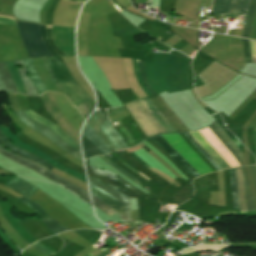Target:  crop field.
Wrapping results in <instances>:
<instances>
[{
    "label": "crop field",
    "mask_w": 256,
    "mask_h": 256,
    "mask_svg": "<svg viewBox=\"0 0 256 256\" xmlns=\"http://www.w3.org/2000/svg\"><path fill=\"white\" fill-rule=\"evenodd\" d=\"M149 84L157 93L188 90V58L153 53V63L144 62Z\"/></svg>",
    "instance_id": "obj_1"
},
{
    "label": "crop field",
    "mask_w": 256,
    "mask_h": 256,
    "mask_svg": "<svg viewBox=\"0 0 256 256\" xmlns=\"http://www.w3.org/2000/svg\"><path fill=\"white\" fill-rule=\"evenodd\" d=\"M148 98L163 114V116L170 122V124L176 129L178 133L188 131L183 123L178 119V117L171 111V109L162 101V99L158 95ZM148 98L141 99V101L153 114L157 121L164 127L167 132H176ZM141 101L138 100L130 102L126 104L125 107L136 120L146 136L149 137L157 133L166 132Z\"/></svg>",
    "instance_id": "obj_2"
},
{
    "label": "crop field",
    "mask_w": 256,
    "mask_h": 256,
    "mask_svg": "<svg viewBox=\"0 0 256 256\" xmlns=\"http://www.w3.org/2000/svg\"><path fill=\"white\" fill-rule=\"evenodd\" d=\"M87 122L111 152L128 147L120 134L111 126L102 110L94 111Z\"/></svg>",
    "instance_id": "obj_3"
},
{
    "label": "crop field",
    "mask_w": 256,
    "mask_h": 256,
    "mask_svg": "<svg viewBox=\"0 0 256 256\" xmlns=\"http://www.w3.org/2000/svg\"><path fill=\"white\" fill-rule=\"evenodd\" d=\"M89 183L96 186L97 188L103 190L104 192L110 194L116 199L122 201L123 203L129 205V197L123 195L122 193L88 177ZM90 185L91 193L102 199L108 206H110L114 211H116L122 222L130 221L129 206L123 204L122 202L116 200L115 198L109 196L103 191L97 189L96 187Z\"/></svg>",
    "instance_id": "obj_4"
},
{
    "label": "crop field",
    "mask_w": 256,
    "mask_h": 256,
    "mask_svg": "<svg viewBox=\"0 0 256 256\" xmlns=\"http://www.w3.org/2000/svg\"><path fill=\"white\" fill-rule=\"evenodd\" d=\"M24 47L30 58L52 56L45 46L40 25L16 21Z\"/></svg>",
    "instance_id": "obj_5"
},
{
    "label": "crop field",
    "mask_w": 256,
    "mask_h": 256,
    "mask_svg": "<svg viewBox=\"0 0 256 256\" xmlns=\"http://www.w3.org/2000/svg\"><path fill=\"white\" fill-rule=\"evenodd\" d=\"M55 84L69 97L85 119L92 113L95 103L80 88L74 79L56 82Z\"/></svg>",
    "instance_id": "obj_6"
},
{
    "label": "crop field",
    "mask_w": 256,
    "mask_h": 256,
    "mask_svg": "<svg viewBox=\"0 0 256 256\" xmlns=\"http://www.w3.org/2000/svg\"><path fill=\"white\" fill-rule=\"evenodd\" d=\"M0 153H2L3 155L7 156L8 158L26 166V167H29L35 171H37L38 173L58 182L59 184H62L64 186H66L67 188H69L70 190H72L74 193H76L77 195L83 197L84 199L88 200L89 202L90 201V197H89V193L63 179H61L60 177H58L57 175L51 173L50 171L40 167L39 165L31 162V161H28V160H25V159H22L14 154H12L11 152H9L8 150H6L5 148H3L1 145H0Z\"/></svg>",
    "instance_id": "obj_7"
},
{
    "label": "crop field",
    "mask_w": 256,
    "mask_h": 256,
    "mask_svg": "<svg viewBox=\"0 0 256 256\" xmlns=\"http://www.w3.org/2000/svg\"><path fill=\"white\" fill-rule=\"evenodd\" d=\"M15 114L18 116V118L24 124L30 126L31 128L35 129L39 133H41L44 136L48 137L49 139L54 141L56 144H58L59 146H61L62 148H64L68 152H70L72 155H74L75 157H77L78 159L83 161L82 160V155L78 151L74 150L71 146H69L67 143H65L55 133H53L49 128H46L47 126L44 127V126L34 122L30 118H28L22 111H17V112H15Z\"/></svg>",
    "instance_id": "obj_8"
},
{
    "label": "crop field",
    "mask_w": 256,
    "mask_h": 256,
    "mask_svg": "<svg viewBox=\"0 0 256 256\" xmlns=\"http://www.w3.org/2000/svg\"><path fill=\"white\" fill-rule=\"evenodd\" d=\"M74 30L75 28L68 27L53 26L52 28L54 43L68 56H75Z\"/></svg>",
    "instance_id": "obj_9"
},
{
    "label": "crop field",
    "mask_w": 256,
    "mask_h": 256,
    "mask_svg": "<svg viewBox=\"0 0 256 256\" xmlns=\"http://www.w3.org/2000/svg\"><path fill=\"white\" fill-rule=\"evenodd\" d=\"M46 70L53 79V81H60L72 78L71 74L67 70L66 66L62 62L61 58H41Z\"/></svg>",
    "instance_id": "obj_10"
},
{
    "label": "crop field",
    "mask_w": 256,
    "mask_h": 256,
    "mask_svg": "<svg viewBox=\"0 0 256 256\" xmlns=\"http://www.w3.org/2000/svg\"><path fill=\"white\" fill-rule=\"evenodd\" d=\"M208 127L219 138V140L226 146V148L232 153V155L235 157L238 163L241 166H243V163H242L243 153L232 141V139L227 135V133L223 130V128L218 124V122L216 121Z\"/></svg>",
    "instance_id": "obj_11"
},
{
    "label": "crop field",
    "mask_w": 256,
    "mask_h": 256,
    "mask_svg": "<svg viewBox=\"0 0 256 256\" xmlns=\"http://www.w3.org/2000/svg\"><path fill=\"white\" fill-rule=\"evenodd\" d=\"M20 201H22L23 203L27 204L28 206H30L36 213L37 215L40 217V219L45 223V225L54 233L58 234L60 232L66 231L68 230L67 228H65L64 226H62L61 224H59L58 222H56L55 220H53L52 218H50L43 210L42 208L37 205L36 203L29 201L26 198H21L19 199Z\"/></svg>",
    "instance_id": "obj_12"
},
{
    "label": "crop field",
    "mask_w": 256,
    "mask_h": 256,
    "mask_svg": "<svg viewBox=\"0 0 256 256\" xmlns=\"http://www.w3.org/2000/svg\"><path fill=\"white\" fill-rule=\"evenodd\" d=\"M157 144H159L175 161H177L188 173H190L194 178L200 175L166 142V140L161 136L152 138Z\"/></svg>",
    "instance_id": "obj_13"
},
{
    "label": "crop field",
    "mask_w": 256,
    "mask_h": 256,
    "mask_svg": "<svg viewBox=\"0 0 256 256\" xmlns=\"http://www.w3.org/2000/svg\"><path fill=\"white\" fill-rule=\"evenodd\" d=\"M194 138L203 146V148L210 154V156L222 167L229 168L228 163L221 157L209 141L202 135L200 131L190 132Z\"/></svg>",
    "instance_id": "obj_14"
},
{
    "label": "crop field",
    "mask_w": 256,
    "mask_h": 256,
    "mask_svg": "<svg viewBox=\"0 0 256 256\" xmlns=\"http://www.w3.org/2000/svg\"><path fill=\"white\" fill-rule=\"evenodd\" d=\"M27 116L31 117L32 119L42 123V124H45L47 126H49V128L54 131L60 138H62L65 142H67L68 144H70L74 149L78 150L79 152L80 151V146H79V143H77L76 141H74L72 138H70L69 136H67L65 133H63L60 128L49 122V121H46L44 119H42L41 117L37 116L32 110H29V111H25L24 112Z\"/></svg>",
    "instance_id": "obj_15"
},
{
    "label": "crop field",
    "mask_w": 256,
    "mask_h": 256,
    "mask_svg": "<svg viewBox=\"0 0 256 256\" xmlns=\"http://www.w3.org/2000/svg\"><path fill=\"white\" fill-rule=\"evenodd\" d=\"M0 141L6 146L8 147L12 152L19 154L27 159H30L32 161H35L36 163L44 166L45 168H47L48 170H51L52 167H50L48 164H46L44 161L40 160L39 158L19 149L14 147L9 141L8 139L0 132Z\"/></svg>",
    "instance_id": "obj_16"
},
{
    "label": "crop field",
    "mask_w": 256,
    "mask_h": 256,
    "mask_svg": "<svg viewBox=\"0 0 256 256\" xmlns=\"http://www.w3.org/2000/svg\"><path fill=\"white\" fill-rule=\"evenodd\" d=\"M24 63H25L27 73L29 77L32 79L36 88L38 89L39 94H42L43 92L48 91L45 85L43 84V82L41 81L40 77L36 73L32 60L31 59L24 60Z\"/></svg>",
    "instance_id": "obj_17"
},
{
    "label": "crop field",
    "mask_w": 256,
    "mask_h": 256,
    "mask_svg": "<svg viewBox=\"0 0 256 256\" xmlns=\"http://www.w3.org/2000/svg\"><path fill=\"white\" fill-rule=\"evenodd\" d=\"M82 135L85 136L88 140L94 143L98 149L102 152L103 155L109 153V150L106 148L104 143L100 140V138L95 134L92 128L86 123Z\"/></svg>",
    "instance_id": "obj_18"
},
{
    "label": "crop field",
    "mask_w": 256,
    "mask_h": 256,
    "mask_svg": "<svg viewBox=\"0 0 256 256\" xmlns=\"http://www.w3.org/2000/svg\"><path fill=\"white\" fill-rule=\"evenodd\" d=\"M132 62H133V67H134V72H135L136 79H137L138 83L140 84V86L142 87L143 91L146 93L147 96L154 95L155 94L154 91L150 88V86L148 85V83L146 81V78L144 76L143 62L139 63V61H138V63H139V70H140V77H141L142 83L145 85V87L148 89V91L151 93V95H150V93L147 91V89L144 87V85L140 81L137 60H132Z\"/></svg>",
    "instance_id": "obj_19"
},
{
    "label": "crop field",
    "mask_w": 256,
    "mask_h": 256,
    "mask_svg": "<svg viewBox=\"0 0 256 256\" xmlns=\"http://www.w3.org/2000/svg\"><path fill=\"white\" fill-rule=\"evenodd\" d=\"M16 65L17 64H21L22 65V69H18L20 75H21V78L23 80V83H24V86H25V90H26V93L28 95H38L31 79L25 74L26 70H25V67H24V64H23V61L22 60H18V61H15Z\"/></svg>",
    "instance_id": "obj_20"
},
{
    "label": "crop field",
    "mask_w": 256,
    "mask_h": 256,
    "mask_svg": "<svg viewBox=\"0 0 256 256\" xmlns=\"http://www.w3.org/2000/svg\"><path fill=\"white\" fill-rule=\"evenodd\" d=\"M238 183H239V203L241 213H247L245 204V193H244V177L241 167L236 168Z\"/></svg>",
    "instance_id": "obj_21"
},
{
    "label": "crop field",
    "mask_w": 256,
    "mask_h": 256,
    "mask_svg": "<svg viewBox=\"0 0 256 256\" xmlns=\"http://www.w3.org/2000/svg\"><path fill=\"white\" fill-rule=\"evenodd\" d=\"M255 13H256V0H251L250 8H249L245 28H244V32H243L241 37L246 36L247 38H249L251 28H252V24H253L254 17H255Z\"/></svg>",
    "instance_id": "obj_22"
},
{
    "label": "crop field",
    "mask_w": 256,
    "mask_h": 256,
    "mask_svg": "<svg viewBox=\"0 0 256 256\" xmlns=\"http://www.w3.org/2000/svg\"><path fill=\"white\" fill-rule=\"evenodd\" d=\"M82 146L84 150V158H89L95 155H102L101 152L96 148L94 144L88 141L86 138L82 136Z\"/></svg>",
    "instance_id": "obj_23"
},
{
    "label": "crop field",
    "mask_w": 256,
    "mask_h": 256,
    "mask_svg": "<svg viewBox=\"0 0 256 256\" xmlns=\"http://www.w3.org/2000/svg\"><path fill=\"white\" fill-rule=\"evenodd\" d=\"M0 75L7 86L8 92L17 93L4 62L0 63Z\"/></svg>",
    "instance_id": "obj_24"
},
{
    "label": "crop field",
    "mask_w": 256,
    "mask_h": 256,
    "mask_svg": "<svg viewBox=\"0 0 256 256\" xmlns=\"http://www.w3.org/2000/svg\"><path fill=\"white\" fill-rule=\"evenodd\" d=\"M224 248H229V245H198L194 248H188V249L183 250L182 254L192 252V251H202V250L220 251Z\"/></svg>",
    "instance_id": "obj_25"
},
{
    "label": "crop field",
    "mask_w": 256,
    "mask_h": 256,
    "mask_svg": "<svg viewBox=\"0 0 256 256\" xmlns=\"http://www.w3.org/2000/svg\"><path fill=\"white\" fill-rule=\"evenodd\" d=\"M242 169H243V173H244V177H245V193H246L247 211L256 210L255 206H254V203H253L251 191H250V188H249V184H248V181H247V178H246L244 168L242 167Z\"/></svg>",
    "instance_id": "obj_26"
},
{
    "label": "crop field",
    "mask_w": 256,
    "mask_h": 256,
    "mask_svg": "<svg viewBox=\"0 0 256 256\" xmlns=\"http://www.w3.org/2000/svg\"><path fill=\"white\" fill-rule=\"evenodd\" d=\"M233 197H234V207L238 208V184L236 179L235 168L230 169Z\"/></svg>",
    "instance_id": "obj_27"
},
{
    "label": "crop field",
    "mask_w": 256,
    "mask_h": 256,
    "mask_svg": "<svg viewBox=\"0 0 256 256\" xmlns=\"http://www.w3.org/2000/svg\"><path fill=\"white\" fill-rule=\"evenodd\" d=\"M188 138L194 143V145L198 148V150L214 165L217 170L221 168L217 165V163L209 156V154L201 147V145L192 137L189 132L185 133Z\"/></svg>",
    "instance_id": "obj_28"
},
{
    "label": "crop field",
    "mask_w": 256,
    "mask_h": 256,
    "mask_svg": "<svg viewBox=\"0 0 256 256\" xmlns=\"http://www.w3.org/2000/svg\"><path fill=\"white\" fill-rule=\"evenodd\" d=\"M92 199H93V203L94 205L100 209L101 211H103L104 213L112 216L114 214H116V212H114L110 207H108L102 200L98 199L97 197L92 195Z\"/></svg>",
    "instance_id": "obj_29"
},
{
    "label": "crop field",
    "mask_w": 256,
    "mask_h": 256,
    "mask_svg": "<svg viewBox=\"0 0 256 256\" xmlns=\"http://www.w3.org/2000/svg\"><path fill=\"white\" fill-rule=\"evenodd\" d=\"M31 246H33L34 248H36V249L39 250L40 252L45 253V254H47V255H49V256H51V255H53L54 253H56V252H54V251L48 249L47 247H45L43 244H41V243H39V242H37V243H35V244L31 245Z\"/></svg>",
    "instance_id": "obj_30"
},
{
    "label": "crop field",
    "mask_w": 256,
    "mask_h": 256,
    "mask_svg": "<svg viewBox=\"0 0 256 256\" xmlns=\"http://www.w3.org/2000/svg\"><path fill=\"white\" fill-rule=\"evenodd\" d=\"M49 28H51L52 26H47ZM47 28V38L48 41L51 45V47L60 55V56H66L64 53H62L53 43L52 38H51V29Z\"/></svg>",
    "instance_id": "obj_31"
},
{
    "label": "crop field",
    "mask_w": 256,
    "mask_h": 256,
    "mask_svg": "<svg viewBox=\"0 0 256 256\" xmlns=\"http://www.w3.org/2000/svg\"><path fill=\"white\" fill-rule=\"evenodd\" d=\"M104 161H106L108 164H110L111 166H113L114 168H116L117 170L121 171L124 175H126L129 179L135 181L137 184H139V182L131 177L129 174H127L125 171H123L121 168L115 166L108 158H106L105 156H100ZM140 185V184H139ZM141 186V185H140Z\"/></svg>",
    "instance_id": "obj_32"
},
{
    "label": "crop field",
    "mask_w": 256,
    "mask_h": 256,
    "mask_svg": "<svg viewBox=\"0 0 256 256\" xmlns=\"http://www.w3.org/2000/svg\"><path fill=\"white\" fill-rule=\"evenodd\" d=\"M243 48H244L247 63L252 62L250 52H249V40L243 39Z\"/></svg>",
    "instance_id": "obj_33"
},
{
    "label": "crop field",
    "mask_w": 256,
    "mask_h": 256,
    "mask_svg": "<svg viewBox=\"0 0 256 256\" xmlns=\"http://www.w3.org/2000/svg\"><path fill=\"white\" fill-rule=\"evenodd\" d=\"M41 28H42V35H43V39H44V42L46 44V46L48 47V49L50 50V52L53 54L54 57H57L59 56L49 45L48 41H47V38H46V34H45V26L44 25H41Z\"/></svg>",
    "instance_id": "obj_34"
},
{
    "label": "crop field",
    "mask_w": 256,
    "mask_h": 256,
    "mask_svg": "<svg viewBox=\"0 0 256 256\" xmlns=\"http://www.w3.org/2000/svg\"><path fill=\"white\" fill-rule=\"evenodd\" d=\"M0 23L15 24L14 20L0 17Z\"/></svg>",
    "instance_id": "obj_35"
},
{
    "label": "crop field",
    "mask_w": 256,
    "mask_h": 256,
    "mask_svg": "<svg viewBox=\"0 0 256 256\" xmlns=\"http://www.w3.org/2000/svg\"><path fill=\"white\" fill-rule=\"evenodd\" d=\"M250 168H251L253 180H254L255 187H256V167H255V165H252V166H250Z\"/></svg>",
    "instance_id": "obj_36"
},
{
    "label": "crop field",
    "mask_w": 256,
    "mask_h": 256,
    "mask_svg": "<svg viewBox=\"0 0 256 256\" xmlns=\"http://www.w3.org/2000/svg\"><path fill=\"white\" fill-rule=\"evenodd\" d=\"M0 91H5V92H7L6 89H5V86H4V83H3L2 79H1V77H0Z\"/></svg>",
    "instance_id": "obj_37"
},
{
    "label": "crop field",
    "mask_w": 256,
    "mask_h": 256,
    "mask_svg": "<svg viewBox=\"0 0 256 256\" xmlns=\"http://www.w3.org/2000/svg\"><path fill=\"white\" fill-rule=\"evenodd\" d=\"M254 139H255V145H256V128H255V131H254Z\"/></svg>",
    "instance_id": "obj_38"
}]
</instances>
